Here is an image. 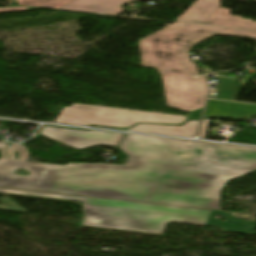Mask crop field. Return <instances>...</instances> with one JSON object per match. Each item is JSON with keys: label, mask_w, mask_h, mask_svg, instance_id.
<instances>
[{"label": "crop field", "mask_w": 256, "mask_h": 256, "mask_svg": "<svg viewBox=\"0 0 256 256\" xmlns=\"http://www.w3.org/2000/svg\"><path fill=\"white\" fill-rule=\"evenodd\" d=\"M18 5L58 9L73 0H17Z\"/></svg>", "instance_id": "crop-field-10"}, {"label": "crop field", "mask_w": 256, "mask_h": 256, "mask_svg": "<svg viewBox=\"0 0 256 256\" xmlns=\"http://www.w3.org/2000/svg\"><path fill=\"white\" fill-rule=\"evenodd\" d=\"M127 1L129 0H75L60 9L117 15L126 10L119 6ZM219 1L197 0L176 20L202 24L221 7Z\"/></svg>", "instance_id": "crop-field-5"}, {"label": "crop field", "mask_w": 256, "mask_h": 256, "mask_svg": "<svg viewBox=\"0 0 256 256\" xmlns=\"http://www.w3.org/2000/svg\"><path fill=\"white\" fill-rule=\"evenodd\" d=\"M229 12L230 9L221 7L203 24L256 30L255 21L240 16L230 15L228 14Z\"/></svg>", "instance_id": "crop-field-9"}, {"label": "crop field", "mask_w": 256, "mask_h": 256, "mask_svg": "<svg viewBox=\"0 0 256 256\" xmlns=\"http://www.w3.org/2000/svg\"><path fill=\"white\" fill-rule=\"evenodd\" d=\"M186 119V116L179 115L73 104L71 107L63 108L55 122L125 128L139 122L182 124Z\"/></svg>", "instance_id": "crop-field-4"}, {"label": "crop field", "mask_w": 256, "mask_h": 256, "mask_svg": "<svg viewBox=\"0 0 256 256\" xmlns=\"http://www.w3.org/2000/svg\"><path fill=\"white\" fill-rule=\"evenodd\" d=\"M216 214L224 217L226 222L213 219ZM206 225L222 227V231L252 235L256 227V222L239 220L227 214L225 211L213 210Z\"/></svg>", "instance_id": "crop-field-8"}, {"label": "crop field", "mask_w": 256, "mask_h": 256, "mask_svg": "<svg viewBox=\"0 0 256 256\" xmlns=\"http://www.w3.org/2000/svg\"><path fill=\"white\" fill-rule=\"evenodd\" d=\"M26 9L28 8H23V7L4 8V9H0V12L20 11V10H26Z\"/></svg>", "instance_id": "crop-field-12"}, {"label": "crop field", "mask_w": 256, "mask_h": 256, "mask_svg": "<svg viewBox=\"0 0 256 256\" xmlns=\"http://www.w3.org/2000/svg\"><path fill=\"white\" fill-rule=\"evenodd\" d=\"M41 135L63 143L74 149H83L94 145L114 146L123 134L104 131H84L44 126Z\"/></svg>", "instance_id": "crop-field-6"}, {"label": "crop field", "mask_w": 256, "mask_h": 256, "mask_svg": "<svg viewBox=\"0 0 256 256\" xmlns=\"http://www.w3.org/2000/svg\"><path fill=\"white\" fill-rule=\"evenodd\" d=\"M215 34L256 39V32L174 23L139 41L143 66L161 73L169 106L185 111L203 106L204 75L197 74L189 51Z\"/></svg>", "instance_id": "crop-field-2"}, {"label": "crop field", "mask_w": 256, "mask_h": 256, "mask_svg": "<svg viewBox=\"0 0 256 256\" xmlns=\"http://www.w3.org/2000/svg\"><path fill=\"white\" fill-rule=\"evenodd\" d=\"M0 192L83 202L82 225L162 234L167 222L205 225L211 210L0 188Z\"/></svg>", "instance_id": "crop-field-3"}, {"label": "crop field", "mask_w": 256, "mask_h": 256, "mask_svg": "<svg viewBox=\"0 0 256 256\" xmlns=\"http://www.w3.org/2000/svg\"><path fill=\"white\" fill-rule=\"evenodd\" d=\"M209 119L210 118H207V119L203 120L198 138H201V139L205 138V134H206V130H207V127H208Z\"/></svg>", "instance_id": "crop-field-11"}, {"label": "crop field", "mask_w": 256, "mask_h": 256, "mask_svg": "<svg viewBox=\"0 0 256 256\" xmlns=\"http://www.w3.org/2000/svg\"><path fill=\"white\" fill-rule=\"evenodd\" d=\"M125 166L25 163L23 145L10 144L0 165V187L89 195L220 210V190L228 180L256 170V149L127 134L119 147ZM19 151V160H13ZM23 168L31 172L20 176Z\"/></svg>", "instance_id": "crop-field-1"}, {"label": "crop field", "mask_w": 256, "mask_h": 256, "mask_svg": "<svg viewBox=\"0 0 256 256\" xmlns=\"http://www.w3.org/2000/svg\"><path fill=\"white\" fill-rule=\"evenodd\" d=\"M198 120H191L186 122L184 126H164V125H154V124H136L131 129H126L125 131H135V132H146V133H156V134H167V135H177V136H190L194 137L196 128L198 125Z\"/></svg>", "instance_id": "crop-field-7"}, {"label": "crop field", "mask_w": 256, "mask_h": 256, "mask_svg": "<svg viewBox=\"0 0 256 256\" xmlns=\"http://www.w3.org/2000/svg\"><path fill=\"white\" fill-rule=\"evenodd\" d=\"M5 147H6V144H5V143H0V152H1L2 156H3V158L0 159V163H2L5 158H7V155H6V154L4 153V151H3V149H4Z\"/></svg>", "instance_id": "crop-field-13"}]
</instances>
